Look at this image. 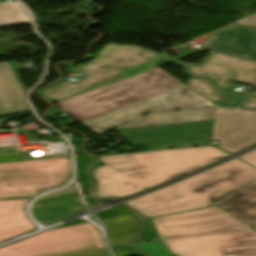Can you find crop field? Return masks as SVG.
<instances>
[{
  "label": "crop field",
  "mask_w": 256,
  "mask_h": 256,
  "mask_svg": "<svg viewBox=\"0 0 256 256\" xmlns=\"http://www.w3.org/2000/svg\"><path fill=\"white\" fill-rule=\"evenodd\" d=\"M227 154L213 148L149 151L99 157L93 170L98 197H123L186 174Z\"/></svg>",
  "instance_id": "1"
},
{
  "label": "crop field",
  "mask_w": 256,
  "mask_h": 256,
  "mask_svg": "<svg viewBox=\"0 0 256 256\" xmlns=\"http://www.w3.org/2000/svg\"><path fill=\"white\" fill-rule=\"evenodd\" d=\"M256 179V169L232 159L129 202L147 217L205 207Z\"/></svg>",
  "instance_id": "2"
},
{
  "label": "crop field",
  "mask_w": 256,
  "mask_h": 256,
  "mask_svg": "<svg viewBox=\"0 0 256 256\" xmlns=\"http://www.w3.org/2000/svg\"><path fill=\"white\" fill-rule=\"evenodd\" d=\"M182 86L185 85L157 67L57 102L61 109L47 115L57 118V113L65 111L82 121Z\"/></svg>",
  "instance_id": "3"
},
{
  "label": "crop field",
  "mask_w": 256,
  "mask_h": 256,
  "mask_svg": "<svg viewBox=\"0 0 256 256\" xmlns=\"http://www.w3.org/2000/svg\"><path fill=\"white\" fill-rule=\"evenodd\" d=\"M159 55L161 54L137 46L109 44L98 53L93 62L84 63L73 69L83 75L77 82L66 80L57 83L40 92L39 96L54 102L60 101Z\"/></svg>",
  "instance_id": "4"
},
{
  "label": "crop field",
  "mask_w": 256,
  "mask_h": 256,
  "mask_svg": "<svg viewBox=\"0 0 256 256\" xmlns=\"http://www.w3.org/2000/svg\"><path fill=\"white\" fill-rule=\"evenodd\" d=\"M70 157L0 163V198H30L70 180Z\"/></svg>",
  "instance_id": "5"
},
{
  "label": "crop field",
  "mask_w": 256,
  "mask_h": 256,
  "mask_svg": "<svg viewBox=\"0 0 256 256\" xmlns=\"http://www.w3.org/2000/svg\"><path fill=\"white\" fill-rule=\"evenodd\" d=\"M105 243L91 223L44 231L0 248V256H64L99 248Z\"/></svg>",
  "instance_id": "6"
},
{
  "label": "crop field",
  "mask_w": 256,
  "mask_h": 256,
  "mask_svg": "<svg viewBox=\"0 0 256 256\" xmlns=\"http://www.w3.org/2000/svg\"><path fill=\"white\" fill-rule=\"evenodd\" d=\"M191 88L185 86L135 104L82 121L84 125L99 135L109 129L143 113L156 110H170L188 107L211 106ZM144 114V113H143Z\"/></svg>",
  "instance_id": "7"
},
{
  "label": "crop field",
  "mask_w": 256,
  "mask_h": 256,
  "mask_svg": "<svg viewBox=\"0 0 256 256\" xmlns=\"http://www.w3.org/2000/svg\"><path fill=\"white\" fill-rule=\"evenodd\" d=\"M152 220L165 239L251 228L214 205Z\"/></svg>",
  "instance_id": "8"
},
{
  "label": "crop field",
  "mask_w": 256,
  "mask_h": 256,
  "mask_svg": "<svg viewBox=\"0 0 256 256\" xmlns=\"http://www.w3.org/2000/svg\"><path fill=\"white\" fill-rule=\"evenodd\" d=\"M175 256H223L222 249L256 247L250 229L164 240Z\"/></svg>",
  "instance_id": "9"
},
{
  "label": "crop field",
  "mask_w": 256,
  "mask_h": 256,
  "mask_svg": "<svg viewBox=\"0 0 256 256\" xmlns=\"http://www.w3.org/2000/svg\"><path fill=\"white\" fill-rule=\"evenodd\" d=\"M211 139L229 153L256 143V112L216 108Z\"/></svg>",
  "instance_id": "10"
},
{
  "label": "crop field",
  "mask_w": 256,
  "mask_h": 256,
  "mask_svg": "<svg viewBox=\"0 0 256 256\" xmlns=\"http://www.w3.org/2000/svg\"><path fill=\"white\" fill-rule=\"evenodd\" d=\"M174 63L187 66V73L207 77L216 82L221 90L233 81L256 84V63L209 52L199 64L184 61Z\"/></svg>",
  "instance_id": "11"
},
{
  "label": "crop field",
  "mask_w": 256,
  "mask_h": 256,
  "mask_svg": "<svg viewBox=\"0 0 256 256\" xmlns=\"http://www.w3.org/2000/svg\"><path fill=\"white\" fill-rule=\"evenodd\" d=\"M199 48L256 61V27L232 23L212 32Z\"/></svg>",
  "instance_id": "12"
},
{
  "label": "crop field",
  "mask_w": 256,
  "mask_h": 256,
  "mask_svg": "<svg viewBox=\"0 0 256 256\" xmlns=\"http://www.w3.org/2000/svg\"><path fill=\"white\" fill-rule=\"evenodd\" d=\"M29 201L28 198L0 200V242L35 229L25 215Z\"/></svg>",
  "instance_id": "13"
},
{
  "label": "crop field",
  "mask_w": 256,
  "mask_h": 256,
  "mask_svg": "<svg viewBox=\"0 0 256 256\" xmlns=\"http://www.w3.org/2000/svg\"><path fill=\"white\" fill-rule=\"evenodd\" d=\"M24 95L8 62L0 63V116L27 111Z\"/></svg>",
  "instance_id": "14"
},
{
  "label": "crop field",
  "mask_w": 256,
  "mask_h": 256,
  "mask_svg": "<svg viewBox=\"0 0 256 256\" xmlns=\"http://www.w3.org/2000/svg\"><path fill=\"white\" fill-rule=\"evenodd\" d=\"M215 204L256 231V182Z\"/></svg>",
  "instance_id": "15"
},
{
  "label": "crop field",
  "mask_w": 256,
  "mask_h": 256,
  "mask_svg": "<svg viewBox=\"0 0 256 256\" xmlns=\"http://www.w3.org/2000/svg\"><path fill=\"white\" fill-rule=\"evenodd\" d=\"M215 108L159 112L147 114L121 128L162 125L182 122L213 120Z\"/></svg>",
  "instance_id": "16"
},
{
  "label": "crop field",
  "mask_w": 256,
  "mask_h": 256,
  "mask_svg": "<svg viewBox=\"0 0 256 256\" xmlns=\"http://www.w3.org/2000/svg\"><path fill=\"white\" fill-rule=\"evenodd\" d=\"M82 210V205L75 194L35 203L32 207L34 217L45 225L65 219Z\"/></svg>",
  "instance_id": "17"
},
{
  "label": "crop field",
  "mask_w": 256,
  "mask_h": 256,
  "mask_svg": "<svg viewBox=\"0 0 256 256\" xmlns=\"http://www.w3.org/2000/svg\"><path fill=\"white\" fill-rule=\"evenodd\" d=\"M102 222L106 224L110 245H132L140 224V221L133 214L103 220Z\"/></svg>",
  "instance_id": "18"
},
{
  "label": "crop field",
  "mask_w": 256,
  "mask_h": 256,
  "mask_svg": "<svg viewBox=\"0 0 256 256\" xmlns=\"http://www.w3.org/2000/svg\"><path fill=\"white\" fill-rule=\"evenodd\" d=\"M185 84L214 105H220L227 97L215 87L213 82L204 78L191 77Z\"/></svg>",
  "instance_id": "19"
},
{
  "label": "crop field",
  "mask_w": 256,
  "mask_h": 256,
  "mask_svg": "<svg viewBox=\"0 0 256 256\" xmlns=\"http://www.w3.org/2000/svg\"><path fill=\"white\" fill-rule=\"evenodd\" d=\"M31 22L30 17L16 1L0 4V26Z\"/></svg>",
  "instance_id": "20"
},
{
  "label": "crop field",
  "mask_w": 256,
  "mask_h": 256,
  "mask_svg": "<svg viewBox=\"0 0 256 256\" xmlns=\"http://www.w3.org/2000/svg\"><path fill=\"white\" fill-rule=\"evenodd\" d=\"M159 58H163V59L166 61V63L170 62L164 55H161V56H159V57H157V58H155V59H153V60H150V61H148V62H146V63H144V64H142V65H139V66H137V67H135V68H133V69H130V70H128V71H126V72H124V73H122V74H119V75H117V76H115V77H113V78H111V79H108V80L103 81V82H101V83H99V84H96V85H94V86H91V87H89V88H87V89H85V90H83V91H81V92H79V93H77V94H75V95L84 93V92H86V91H89V90H92V89L101 87V86H103V85H106V84H109V83L118 81V80H120V79L129 77V76H132V75H134V74H137V73H140V72L149 70V69H151V68L157 67V66H159L160 64H156V63H155V60H157V59H159ZM75 95H73V96H75ZM71 97H72V96H71ZM69 98H70V97H69Z\"/></svg>",
  "instance_id": "21"
},
{
  "label": "crop field",
  "mask_w": 256,
  "mask_h": 256,
  "mask_svg": "<svg viewBox=\"0 0 256 256\" xmlns=\"http://www.w3.org/2000/svg\"><path fill=\"white\" fill-rule=\"evenodd\" d=\"M91 163V158L87 156L75 157L76 171H78L77 179L80 183L82 193L90 190L87 171Z\"/></svg>",
  "instance_id": "22"
},
{
  "label": "crop field",
  "mask_w": 256,
  "mask_h": 256,
  "mask_svg": "<svg viewBox=\"0 0 256 256\" xmlns=\"http://www.w3.org/2000/svg\"><path fill=\"white\" fill-rule=\"evenodd\" d=\"M137 249L142 250L151 256H169L167 248L159 242H144L136 245Z\"/></svg>",
  "instance_id": "23"
},
{
  "label": "crop field",
  "mask_w": 256,
  "mask_h": 256,
  "mask_svg": "<svg viewBox=\"0 0 256 256\" xmlns=\"http://www.w3.org/2000/svg\"><path fill=\"white\" fill-rule=\"evenodd\" d=\"M101 220L108 219L112 217L122 216L126 214H131L126 208H124L122 205L117 206L112 209H108L102 212L97 213Z\"/></svg>",
  "instance_id": "24"
},
{
  "label": "crop field",
  "mask_w": 256,
  "mask_h": 256,
  "mask_svg": "<svg viewBox=\"0 0 256 256\" xmlns=\"http://www.w3.org/2000/svg\"><path fill=\"white\" fill-rule=\"evenodd\" d=\"M224 256H256V248L223 250Z\"/></svg>",
  "instance_id": "25"
},
{
  "label": "crop field",
  "mask_w": 256,
  "mask_h": 256,
  "mask_svg": "<svg viewBox=\"0 0 256 256\" xmlns=\"http://www.w3.org/2000/svg\"><path fill=\"white\" fill-rule=\"evenodd\" d=\"M142 240H155L156 234L153 225L148 221L146 227L142 231Z\"/></svg>",
  "instance_id": "26"
},
{
  "label": "crop field",
  "mask_w": 256,
  "mask_h": 256,
  "mask_svg": "<svg viewBox=\"0 0 256 256\" xmlns=\"http://www.w3.org/2000/svg\"><path fill=\"white\" fill-rule=\"evenodd\" d=\"M69 256H110L107 249H99V250H94V251H89V252H84V253H79V254H74V255H69Z\"/></svg>",
  "instance_id": "27"
},
{
  "label": "crop field",
  "mask_w": 256,
  "mask_h": 256,
  "mask_svg": "<svg viewBox=\"0 0 256 256\" xmlns=\"http://www.w3.org/2000/svg\"><path fill=\"white\" fill-rule=\"evenodd\" d=\"M75 192H76V187H75V184L73 183L68 189L61 190V191H59L57 193L46 195V196L42 197L40 200H38V201H43V200H47V199H50V198H54V197H56L58 195H61V194L75 193Z\"/></svg>",
  "instance_id": "28"
},
{
  "label": "crop field",
  "mask_w": 256,
  "mask_h": 256,
  "mask_svg": "<svg viewBox=\"0 0 256 256\" xmlns=\"http://www.w3.org/2000/svg\"><path fill=\"white\" fill-rule=\"evenodd\" d=\"M240 107V106H239ZM241 107L256 109V92L251 93L245 101L242 103Z\"/></svg>",
  "instance_id": "29"
},
{
  "label": "crop field",
  "mask_w": 256,
  "mask_h": 256,
  "mask_svg": "<svg viewBox=\"0 0 256 256\" xmlns=\"http://www.w3.org/2000/svg\"><path fill=\"white\" fill-rule=\"evenodd\" d=\"M244 161L256 166V150H253L243 156L240 157Z\"/></svg>",
  "instance_id": "30"
},
{
  "label": "crop field",
  "mask_w": 256,
  "mask_h": 256,
  "mask_svg": "<svg viewBox=\"0 0 256 256\" xmlns=\"http://www.w3.org/2000/svg\"><path fill=\"white\" fill-rule=\"evenodd\" d=\"M235 23L256 26V15L243 17V18L235 21Z\"/></svg>",
  "instance_id": "31"
},
{
  "label": "crop field",
  "mask_w": 256,
  "mask_h": 256,
  "mask_svg": "<svg viewBox=\"0 0 256 256\" xmlns=\"http://www.w3.org/2000/svg\"><path fill=\"white\" fill-rule=\"evenodd\" d=\"M115 256H129L126 255L125 249H118V250H113Z\"/></svg>",
  "instance_id": "32"
},
{
  "label": "crop field",
  "mask_w": 256,
  "mask_h": 256,
  "mask_svg": "<svg viewBox=\"0 0 256 256\" xmlns=\"http://www.w3.org/2000/svg\"><path fill=\"white\" fill-rule=\"evenodd\" d=\"M80 223H86V221H83V220H81V219H78V220L72 221V222H70V223H68V224H65V225H63V226H60V227L69 226V225H75V224H80ZM57 228H59V227H57Z\"/></svg>",
  "instance_id": "33"
},
{
  "label": "crop field",
  "mask_w": 256,
  "mask_h": 256,
  "mask_svg": "<svg viewBox=\"0 0 256 256\" xmlns=\"http://www.w3.org/2000/svg\"><path fill=\"white\" fill-rule=\"evenodd\" d=\"M84 197H85V200H86L87 202H89L90 204H92L93 206L98 205V203H97L96 200L90 199L89 196H84Z\"/></svg>",
  "instance_id": "34"
},
{
  "label": "crop field",
  "mask_w": 256,
  "mask_h": 256,
  "mask_svg": "<svg viewBox=\"0 0 256 256\" xmlns=\"http://www.w3.org/2000/svg\"><path fill=\"white\" fill-rule=\"evenodd\" d=\"M212 123H213V121H211V128H212ZM210 133H211V129H210Z\"/></svg>",
  "instance_id": "35"
},
{
  "label": "crop field",
  "mask_w": 256,
  "mask_h": 256,
  "mask_svg": "<svg viewBox=\"0 0 256 256\" xmlns=\"http://www.w3.org/2000/svg\"><path fill=\"white\" fill-rule=\"evenodd\" d=\"M70 70H72V68H70Z\"/></svg>",
  "instance_id": "36"
}]
</instances>
